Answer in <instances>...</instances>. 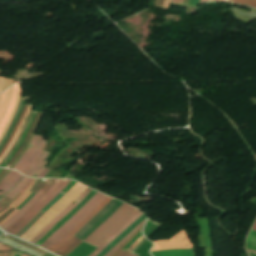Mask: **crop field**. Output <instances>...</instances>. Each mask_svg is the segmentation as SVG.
Masks as SVG:
<instances>
[{
    "label": "crop field",
    "instance_id": "a9b5d70f",
    "mask_svg": "<svg viewBox=\"0 0 256 256\" xmlns=\"http://www.w3.org/2000/svg\"><path fill=\"white\" fill-rule=\"evenodd\" d=\"M40 113H41V112H38V113H37V115H36V117H35V120H34L32 126H31L30 130L28 131L27 135L25 136V138H24V140H23V142H22V144H21L19 150L14 154L13 158H12L11 161L8 163V165H11V163L13 162V160L15 159V157L21 152V150H22V148H23V146H24L26 140L28 139V137H29V135H30V133H31V131H32V129H33V127H34V125H35V123H36V121H37L39 115H40Z\"/></svg>",
    "mask_w": 256,
    "mask_h": 256
},
{
    "label": "crop field",
    "instance_id": "34b2d1b8",
    "mask_svg": "<svg viewBox=\"0 0 256 256\" xmlns=\"http://www.w3.org/2000/svg\"><path fill=\"white\" fill-rule=\"evenodd\" d=\"M119 201L112 199L97 215H95L74 237L81 239L94 225H96L105 215H107ZM122 204L120 202L107 216H105L95 227H93L82 239L83 241L96 227H98L105 219H107L117 208ZM71 238L66 244H64L55 254L59 256H66L75 247H77L81 241Z\"/></svg>",
    "mask_w": 256,
    "mask_h": 256
},
{
    "label": "crop field",
    "instance_id": "447ae74e",
    "mask_svg": "<svg viewBox=\"0 0 256 256\" xmlns=\"http://www.w3.org/2000/svg\"><path fill=\"white\" fill-rule=\"evenodd\" d=\"M127 256H134V255H132V254L129 253Z\"/></svg>",
    "mask_w": 256,
    "mask_h": 256
},
{
    "label": "crop field",
    "instance_id": "db79e9e6",
    "mask_svg": "<svg viewBox=\"0 0 256 256\" xmlns=\"http://www.w3.org/2000/svg\"><path fill=\"white\" fill-rule=\"evenodd\" d=\"M16 253H17V251L12 256H14Z\"/></svg>",
    "mask_w": 256,
    "mask_h": 256
},
{
    "label": "crop field",
    "instance_id": "412701ff",
    "mask_svg": "<svg viewBox=\"0 0 256 256\" xmlns=\"http://www.w3.org/2000/svg\"><path fill=\"white\" fill-rule=\"evenodd\" d=\"M70 182V180L57 179L54 185L37 201L35 202L16 222L10 225L5 231L15 235L22 229L43 207H45L63 188ZM19 224L15 229L11 230Z\"/></svg>",
    "mask_w": 256,
    "mask_h": 256
},
{
    "label": "crop field",
    "instance_id": "028f5c9d",
    "mask_svg": "<svg viewBox=\"0 0 256 256\" xmlns=\"http://www.w3.org/2000/svg\"><path fill=\"white\" fill-rule=\"evenodd\" d=\"M140 235H142L141 232H139V233L123 248V250L126 251V250L132 245V243H133Z\"/></svg>",
    "mask_w": 256,
    "mask_h": 256
},
{
    "label": "crop field",
    "instance_id": "5866460e",
    "mask_svg": "<svg viewBox=\"0 0 256 256\" xmlns=\"http://www.w3.org/2000/svg\"><path fill=\"white\" fill-rule=\"evenodd\" d=\"M63 196V194L59 193L45 208L42 209V211H46L47 209H49L56 201H58L61 197Z\"/></svg>",
    "mask_w": 256,
    "mask_h": 256
},
{
    "label": "crop field",
    "instance_id": "5d738f31",
    "mask_svg": "<svg viewBox=\"0 0 256 256\" xmlns=\"http://www.w3.org/2000/svg\"><path fill=\"white\" fill-rule=\"evenodd\" d=\"M34 194L32 193L17 209H19L23 204H25Z\"/></svg>",
    "mask_w": 256,
    "mask_h": 256
},
{
    "label": "crop field",
    "instance_id": "0f1d7ab4",
    "mask_svg": "<svg viewBox=\"0 0 256 256\" xmlns=\"http://www.w3.org/2000/svg\"><path fill=\"white\" fill-rule=\"evenodd\" d=\"M1 73V72H0Z\"/></svg>",
    "mask_w": 256,
    "mask_h": 256
},
{
    "label": "crop field",
    "instance_id": "d3111659",
    "mask_svg": "<svg viewBox=\"0 0 256 256\" xmlns=\"http://www.w3.org/2000/svg\"><path fill=\"white\" fill-rule=\"evenodd\" d=\"M35 114H36V112L33 113L32 117H31V119H30V121H29V123H28V125H27V127H26V129H25V131H24V134H23V136H22L20 142H19L18 145L15 147V149L13 150V152L11 153V155L8 157V159L5 161V163L2 165V167H5V166L7 165V163L10 161V159H11L12 156H13V154L15 153V151L17 150V148H18L19 145L21 144V142H22V140H23V138H24V136H25V134H26V132H27V130H28V128H29V126H30V124H31V122H32V120H33V118H34V116H35Z\"/></svg>",
    "mask_w": 256,
    "mask_h": 256
},
{
    "label": "crop field",
    "instance_id": "cbeb9de0",
    "mask_svg": "<svg viewBox=\"0 0 256 256\" xmlns=\"http://www.w3.org/2000/svg\"><path fill=\"white\" fill-rule=\"evenodd\" d=\"M22 175L16 171L11 170V172L5 177V179L0 183V195L8 193L14 185L21 179Z\"/></svg>",
    "mask_w": 256,
    "mask_h": 256
},
{
    "label": "crop field",
    "instance_id": "8a807250",
    "mask_svg": "<svg viewBox=\"0 0 256 256\" xmlns=\"http://www.w3.org/2000/svg\"><path fill=\"white\" fill-rule=\"evenodd\" d=\"M137 211L138 210L123 203L119 209L110 218L103 222L97 229H95L89 235V237L83 241V243L97 248ZM83 243L74 249L68 256H88L95 250V248Z\"/></svg>",
    "mask_w": 256,
    "mask_h": 256
},
{
    "label": "crop field",
    "instance_id": "78b8030e",
    "mask_svg": "<svg viewBox=\"0 0 256 256\" xmlns=\"http://www.w3.org/2000/svg\"><path fill=\"white\" fill-rule=\"evenodd\" d=\"M2 246V244H0V247Z\"/></svg>",
    "mask_w": 256,
    "mask_h": 256
},
{
    "label": "crop field",
    "instance_id": "bc2a9ffb",
    "mask_svg": "<svg viewBox=\"0 0 256 256\" xmlns=\"http://www.w3.org/2000/svg\"><path fill=\"white\" fill-rule=\"evenodd\" d=\"M152 243L149 241H145L136 251L134 254L137 256H151L149 254V249L152 247Z\"/></svg>",
    "mask_w": 256,
    "mask_h": 256
},
{
    "label": "crop field",
    "instance_id": "ae1a2a85",
    "mask_svg": "<svg viewBox=\"0 0 256 256\" xmlns=\"http://www.w3.org/2000/svg\"><path fill=\"white\" fill-rule=\"evenodd\" d=\"M28 180H29V178L24 176V178L20 181V183L11 192L6 194V196L12 198L23 188V186L27 183Z\"/></svg>",
    "mask_w": 256,
    "mask_h": 256
},
{
    "label": "crop field",
    "instance_id": "733c2abd",
    "mask_svg": "<svg viewBox=\"0 0 256 256\" xmlns=\"http://www.w3.org/2000/svg\"><path fill=\"white\" fill-rule=\"evenodd\" d=\"M151 254L152 256H195V250H166Z\"/></svg>",
    "mask_w": 256,
    "mask_h": 256
},
{
    "label": "crop field",
    "instance_id": "73cf0c24",
    "mask_svg": "<svg viewBox=\"0 0 256 256\" xmlns=\"http://www.w3.org/2000/svg\"><path fill=\"white\" fill-rule=\"evenodd\" d=\"M128 254V252H123L120 256H126Z\"/></svg>",
    "mask_w": 256,
    "mask_h": 256
},
{
    "label": "crop field",
    "instance_id": "f4fd0767",
    "mask_svg": "<svg viewBox=\"0 0 256 256\" xmlns=\"http://www.w3.org/2000/svg\"><path fill=\"white\" fill-rule=\"evenodd\" d=\"M45 143L43 142L42 136H33V139L28 146L25 154L22 158L18 161V163L13 167L14 170H18L22 174H26L27 171L30 169L36 158L38 157L39 153L45 147Z\"/></svg>",
    "mask_w": 256,
    "mask_h": 256
},
{
    "label": "crop field",
    "instance_id": "0765c3eb",
    "mask_svg": "<svg viewBox=\"0 0 256 256\" xmlns=\"http://www.w3.org/2000/svg\"><path fill=\"white\" fill-rule=\"evenodd\" d=\"M22 256H29V255H27V254H23Z\"/></svg>",
    "mask_w": 256,
    "mask_h": 256
},
{
    "label": "crop field",
    "instance_id": "4a817a6b",
    "mask_svg": "<svg viewBox=\"0 0 256 256\" xmlns=\"http://www.w3.org/2000/svg\"><path fill=\"white\" fill-rule=\"evenodd\" d=\"M47 155H48L47 152L42 151V153L39 155V157L37 158V160L34 163V165L32 166V168L28 171V173L26 175L32 177L33 174L37 171L38 167L44 161V159L46 158Z\"/></svg>",
    "mask_w": 256,
    "mask_h": 256
},
{
    "label": "crop field",
    "instance_id": "eef30255",
    "mask_svg": "<svg viewBox=\"0 0 256 256\" xmlns=\"http://www.w3.org/2000/svg\"><path fill=\"white\" fill-rule=\"evenodd\" d=\"M27 106H28V104H27V105H24L23 110H22V113H21V115L19 116V118H18V120H17V123H16V125H15V127H14L12 133L10 134V136H9V138H8V140H7V142H6V144L4 145L3 149H2L1 152H0V156H1V154L3 153V151L5 150V148L7 147V145H8V143L10 142L12 136L15 134L16 129H17V127H18V125H19V123H20V121H21V119H22L24 113H25V110H26Z\"/></svg>",
    "mask_w": 256,
    "mask_h": 256
},
{
    "label": "crop field",
    "instance_id": "1d79db26",
    "mask_svg": "<svg viewBox=\"0 0 256 256\" xmlns=\"http://www.w3.org/2000/svg\"><path fill=\"white\" fill-rule=\"evenodd\" d=\"M20 255H21V253L18 252L15 256H20Z\"/></svg>",
    "mask_w": 256,
    "mask_h": 256
},
{
    "label": "crop field",
    "instance_id": "5a996713",
    "mask_svg": "<svg viewBox=\"0 0 256 256\" xmlns=\"http://www.w3.org/2000/svg\"><path fill=\"white\" fill-rule=\"evenodd\" d=\"M56 179H49V181L6 223L0 226L3 230L17 220L36 200H38L48 189Z\"/></svg>",
    "mask_w": 256,
    "mask_h": 256
},
{
    "label": "crop field",
    "instance_id": "dafd665d",
    "mask_svg": "<svg viewBox=\"0 0 256 256\" xmlns=\"http://www.w3.org/2000/svg\"><path fill=\"white\" fill-rule=\"evenodd\" d=\"M207 1H229V2H232V0H200V3L207 2ZM233 2L256 8V0H233Z\"/></svg>",
    "mask_w": 256,
    "mask_h": 256
},
{
    "label": "crop field",
    "instance_id": "e52e79f7",
    "mask_svg": "<svg viewBox=\"0 0 256 256\" xmlns=\"http://www.w3.org/2000/svg\"><path fill=\"white\" fill-rule=\"evenodd\" d=\"M102 194L96 193L81 209H79L62 227L47 238L40 247L44 248L61 234L71 223H73L80 215H82Z\"/></svg>",
    "mask_w": 256,
    "mask_h": 256
},
{
    "label": "crop field",
    "instance_id": "1d83c4d3",
    "mask_svg": "<svg viewBox=\"0 0 256 256\" xmlns=\"http://www.w3.org/2000/svg\"><path fill=\"white\" fill-rule=\"evenodd\" d=\"M144 226V225H143ZM142 227H140L132 236H130L118 249V251L113 256H119L123 250H121L140 230H142Z\"/></svg>",
    "mask_w": 256,
    "mask_h": 256
},
{
    "label": "crop field",
    "instance_id": "4177f3b9",
    "mask_svg": "<svg viewBox=\"0 0 256 256\" xmlns=\"http://www.w3.org/2000/svg\"><path fill=\"white\" fill-rule=\"evenodd\" d=\"M11 88L2 92L1 97H0V117L6 107L7 104V100L10 94Z\"/></svg>",
    "mask_w": 256,
    "mask_h": 256
},
{
    "label": "crop field",
    "instance_id": "750c4746",
    "mask_svg": "<svg viewBox=\"0 0 256 256\" xmlns=\"http://www.w3.org/2000/svg\"><path fill=\"white\" fill-rule=\"evenodd\" d=\"M161 226V224L158 223H154L152 226H150L146 231L143 232V235L146 236L147 238L153 234L159 227Z\"/></svg>",
    "mask_w": 256,
    "mask_h": 256
},
{
    "label": "crop field",
    "instance_id": "425ffa30",
    "mask_svg": "<svg viewBox=\"0 0 256 256\" xmlns=\"http://www.w3.org/2000/svg\"><path fill=\"white\" fill-rule=\"evenodd\" d=\"M32 180H33V179H31V180L24 186V188L20 191V193H22V192L26 189V187L31 183Z\"/></svg>",
    "mask_w": 256,
    "mask_h": 256
},
{
    "label": "crop field",
    "instance_id": "d8731c3e",
    "mask_svg": "<svg viewBox=\"0 0 256 256\" xmlns=\"http://www.w3.org/2000/svg\"><path fill=\"white\" fill-rule=\"evenodd\" d=\"M20 92L21 91L19 90L18 85L13 86L6 110L0 120V136L2 135L8 121L13 113V110L16 105V102H17Z\"/></svg>",
    "mask_w": 256,
    "mask_h": 256
},
{
    "label": "crop field",
    "instance_id": "214f88e0",
    "mask_svg": "<svg viewBox=\"0 0 256 256\" xmlns=\"http://www.w3.org/2000/svg\"><path fill=\"white\" fill-rule=\"evenodd\" d=\"M31 106H32V105H29V106H28V109H27V111H26V114H25V116H24V118H23L21 124L19 125L16 134L13 136V138H12V140H11V142H10L8 148L5 150V152H4V153L2 154V156L0 157V162H1V160L4 158V156L7 154V152L10 150V148L12 147V145H13V143H14L16 137L18 136V134H19V132H20V130H21V127H22V125H23V123H24V121H25V119H26V117H27V115H28V113H29V110H30Z\"/></svg>",
    "mask_w": 256,
    "mask_h": 256
},
{
    "label": "crop field",
    "instance_id": "5142ce71",
    "mask_svg": "<svg viewBox=\"0 0 256 256\" xmlns=\"http://www.w3.org/2000/svg\"><path fill=\"white\" fill-rule=\"evenodd\" d=\"M140 211L123 224L113 235H111L100 247H98L90 256H96L107 244L113 241L124 229L132 224V222L142 215Z\"/></svg>",
    "mask_w": 256,
    "mask_h": 256
},
{
    "label": "crop field",
    "instance_id": "0fb4a251",
    "mask_svg": "<svg viewBox=\"0 0 256 256\" xmlns=\"http://www.w3.org/2000/svg\"><path fill=\"white\" fill-rule=\"evenodd\" d=\"M14 252H15V250L13 252H11L8 256H11Z\"/></svg>",
    "mask_w": 256,
    "mask_h": 256
},
{
    "label": "crop field",
    "instance_id": "22f410ed",
    "mask_svg": "<svg viewBox=\"0 0 256 256\" xmlns=\"http://www.w3.org/2000/svg\"><path fill=\"white\" fill-rule=\"evenodd\" d=\"M96 191L92 190L89 195L82 200L74 209H72L66 216H64L36 245H40L48 236H50L55 230L62 226L79 208H81L94 194Z\"/></svg>",
    "mask_w": 256,
    "mask_h": 256
},
{
    "label": "crop field",
    "instance_id": "28ad6ade",
    "mask_svg": "<svg viewBox=\"0 0 256 256\" xmlns=\"http://www.w3.org/2000/svg\"><path fill=\"white\" fill-rule=\"evenodd\" d=\"M111 198L105 199L91 214H89L70 234H68L65 238H63L59 243H57L52 249L49 251L55 252L57 251L65 242H67L87 221H89L101 208H103Z\"/></svg>",
    "mask_w": 256,
    "mask_h": 256
},
{
    "label": "crop field",
    "instance_id": "9d1cf04e",
    "mask_svg": "<svg viewBox=\"0 0 256 256\" xmlns=\"http://www.w3.org/2000/svg\"><path fill=\"white\" fill-rule=\"evenodd\" d=\"M247 251H249V252H252V253H256V252H254V251H251V250H247Z\"/></svg>",
    "mask_w": 256,
    "mask_h": 256
},
{
    "label": "crop field",
    "instance_id": "25e5ab78",
    "mask_svg": "<svg viewBox=\"0 0 256 256\" xmlns=\"http://www.w3.org/2000/svg\"><path fill=\"white\" fill-rule=\"evenodd\" d=\"M45 163H46V162H43V164L41 165V167L39 168V170L35 173V175H34L33 177L36 178L37 174L39 173V171L41 170V168L44 166Z\"/></svg>",
    "mask_w": 256,
    "mask_h": 256
},
{
    "label": "crop field",
    "instance_id": "ac0d7876",
    "mask_svg": "<svg viewBox=\"0 0 256 256\" xmlns=\"http://www.w3.org/2000/svg\"><path fill=\"white\" fill-rule=\"evenodd\" d=\"M86 189L87 187L77 182L69 192H67L55 205L46 211V213L20 238L27 241L32 239Z\"/></svg>",
    "mask_w": 256,
    "mask_h": 256
},
{
    "label": "crop field",
    "instance_id": "3316defc",
    "mask_svg": "<svg viewBox=\"0 0 256 256\" xmlns=\"http://www.w3.org/2000/svg\"><path fill=\"white\" fill-rule=\"evenodd\" d=\"M91 189H87L82 193L74 202H72L61 214H59L51 223H49L36 237L30 242L36 243L47 231H49L64 215H66L72 208H74L89 192Z\"/></svg>",
    "mask_w": 256,
    "mask_h": 256
},
{
    "label": "crop field",
    "instance_id": "bd1437ed",
    "mask_svg": "<svg viewBox=\"0 0 256 256\" xmlns=\"http://www.w3.org/2000/svg\"><path fill=\"white\" fill-rule=\"evenodd\" d=\"M24 102H25V100L23 99L22 102H21V105H20V107H19V110H18V112H17V115H16V117H15V119H14V122H13V124H12V126H11V128H10V130H9V132H8V134L6 135V137H5L4 141H3V143H2V145H1V147H0V150H1L2 146L4 145V143L6 142V140H7L8 136H9V134L11 133V131H12V129H13L15 123H16V120H17V118H18V116H19V113H20V111H21V109H22V107H23Z\"/></svg>",
    "mask_w": 256,
    "mask_h": 256
},
{
    "label": "crop field",
    "instance_id": "0bd39190",
    "mask_svg": "<svg viewBox=\"0 0 256 256\" xmlns=\"http://www.w3.org/2000/svg\"><path fill=\"white\" fill-rule=\"evenodd\" d=\"M47 171H48L47 169L42 168V170L38 174L37 178H43L44 175L47 173Z\"/></svg>",
    "mask_w": 256,
    "mask_h": 256
},
{
    "label": "crop field",
    "instance_id": "1f2cbd36",
    "mask_svg": "<svg viewBox=\"0 0 256 256\" xmlns=\"http://www.w3.org/2000/svg\"><path fill=\"white\" fill-rule=\"evenodd\" d=\"M249 253V252H248ZM249 256H256V254L249 253Z\"/></svg>",
    "mask_w": 256,
    "mask_h": 256
},
{
    "label": "crop field",
    "instance_id": "120bbe31",
    "mask_svg": "<svg viewBox=\"0 0 256 256\" xmlns=\"http://www.w3.org/2000/svg\"><path fill=\"white\" fill-rule=\"evenodd\" d=\"M171 0H156L155 6L163 7V8H169Z\"/></svg>",
    "mask_w": 256,
    "mask_h": 256
},
{
    "label": "crop field",
    "instance_id": "03da06ac",
    "mask_svg": "<svg viewBox=\"0 0 256 256\" xmlns=\"http://www.w3.org/2000/svg\"><path fill=\"white\" fill-rule=\"evenodd\" d=\"M153 223H154V222H152V221L148 218L147 223H146V225H145L143 231H144L145 229H147V228H148L151 224H153Z\"/></svg>",
    "mask_w": 256,
    "mask_h": 256
},
{
    "label": "crop field",
    "instance_id": "c21b1889",
    "mask_svg": "<svg viewBox=\"0 0 256 256\" xmlns=\"http://www.w3.org/2000/svg\"><path fill=\"white\" fill-rule=\"evenodd\" d=\"M16 211H17V210H14L6 219H4V220L0 223V225L3 224L5 221H7L10 217H12V216L16 213Z\"/></svg>",
    "mask_w": 256,
    "mask_h": 256
},
{
    "label": "crop field",
    "instance_id": "c035e120",
    "mask_svg": "<svg viewBox=\"0 0 256 256\" xmlns=\"http://www.w3.org/2000/svg\"><path fill=\"white\" fill-rule=\"evenodd\" d=\"M199 4V0H189V5L197 6Z\"/></svg>",
    "mask_w": 256,
    "mask_h": 256
},
{
    "label": "crop field",
    "instance_id": "e1f06a70",
    "mask_svg": "<svg viewBox=\"0 0 256 256\" xmlns=\"http://www.w3.org/2000/svg\"><path fill=\"white\" fill-rule=\"evenodd\" d=\"M75 183L76 181L71 180L69 185L61 193L65 194Z\"/></svg>",
    "mask_w": 256,
    "mask_h": 256
},
{
    "label": "crop field",
    "instance_id": "b80d0937",
    "mask_svg": "<svg viewBox=\"0 0 256 256\" xmlns=\"http://www.w3.org/2000/svg\"><path fill=\"white\" fill-rule=\"evenodd\" d=\"M12 83H13V81L12 80H6V83H5V86H4V88H3V91L5 90V89H7L9 86H11L12 85Z\"/></svg>",
    "mask_w": 256,
    "mask_h": 256
},
{
    "label": "crop field",
    "instance_id": "00972430",
    "mask_svg": "<svg viewBox=\"0 0 256 256\" xmlns=\"http://www.w3.org/2000/svg\"><path fill=\"white\" fill-rule=\"evenodd\" d=\"M247 240L256 243V231L251 230L247 237ZM248 241L246 242L245 248L256 251V244Z\"/></svg>",
    "mask_w": 256,
    "mask_h": 256
},
{
    "label": "crop field",
    "instance_id": "b54c1fbb",
    "mask_svg": "<svg viewBox=\"0 0 256 256\" xmlns=\"http://www.w3.org/2000/svg\"><path fill=\"white\" fill-rule=\"evenodd\" d=\"M5 80H6V79H4V78H0V92H1V90H2V87H3V85H4Z\"/></svg>",
    "mask_w": 256,
    "mask_h": 256
},
{
    "label": "crop field",
    "instance_id": "dbb93151",
    "mask_svg": "<svg viewBox=\"0 0 256 256\" xmlns=\"http://www.w3.org/2000/svg\"><path fill=\"white\" fill-rule=\"evenodd\" d=\"M253 230H256V223H255V225H254V227H253Z\"/></svg>",
    "mask_w": 256,
    "mask_h": 256
},
{
    "label": "crop field",
    "instance_id": "730fd06b",
    "mask_svg": "<svg viewBox=\"0 0 256 256\" xmlns=\"http://www.w3.org/2000/svg\"><path fill=\"white\" fill-rule=\"evenodd\" d=\"M146 220V219H145ZM145 220L142 221L135 229H133L129 234H127L114 248H112L105 256H111L117 251V248L134 232L136 231L140 226H142L145 223Z\"/></svg>",
    "mask_w": 256,
    "mask_h": 256
},
{
    "label": "crop field",
    "instance_id": "7b73153f",
    "mask_svg": "<svg viewBox=\"0 0 256 256\" xmlns=\"http://www.w3.org/2000/svg\"><path fill=\"white\" fill-rule=\"evenodd\" d=\"M2 168H0V172H1Z\"/></svg>",
    "mask_w": 256,
    "mask_h": 256
},
{
    "label": "crop field",
    "instance_id": "d32e631a",
    "mask_svg": "<svg viewBox=\"0 0 256 256\" xmlns=\"http://www.w3.org/2000/svg\"><path fill=\"white\" fill-rule=\"evenodd\" d=\"M13 249L6 245H3L0 249V256H7Z\"/></svg>",
    "mask_w": 256,
    "mask_h": 256
},
{
    "label": "crop field",
    "instance_id": "d9b57169",
    "mask_svg": "<svg viewBox=\"0 0 256 256\" xmlns=\"http://www.w3.org/2000/svg\"><path fill=\"white\" fill-rule=\"evenodd\" d=\"M146 216L143 214L140 218H138L130 227L124 230L113 242H111L101 253L97 256H103L106 254L112 247H114L130 230H132L139 222L145 219Z\"/></svg>",
    "mask_w": 256,
    "mask_h": 256
},
{
    "label": "crop field",
    "instance_id": "92a150f3",
    "mask_svg": "<svg viewBox=\"0 0 256 256\" xmlns=\"http://www.w3.org/2000/svg\"><path fill=\"white\" fill-rule=\"evenodd\" d=\"M36 181V179L32 182V184L26 189V191L16 200L14 201L12 204H10V207L16 208L18 205H20L26 198L27 196L30 194L29 189L31 188V186L33 185V183ZM9 207V208H10ZM8 208V209H9ZM8 209H6L5 211L1 212L0 215H2L4 212H6Z\"/></svg>",
    "mask_w": 256,
    "mask_h": 256
},
{
    "label": "crop field",
    "instance_id": "89e229c0",
    "mask_svg": "<svg viewBox=\"0 0 256 256\" xmlns=\"http://www.w3.org/2000/svg\"><path fill=\"white\" fill-rule=\"evenodd\" d=\"M6 170L5 169H3V171L0 173V177L2 176V174L5 172Z\"/></svg>",
    "mask_w": 256,
    "mask_h": 256
},
{
    "label": "crop field",
    "instance_id": "d23c7cc5",
    "mask_svg": "<svg viewBox=\"0 0 256 256\" xmlns=\"http://www.w3.org/2000/svg\"><path fill=\"white\" fill-rule=\"evenodd\" d=\"M183 0H172L171 3L182 4Z\"/></svg>",
    "mask_w": 256,
    "mask_h": 256
},
{
    "label": "crop field",
    "instance_id": "dd49c442",
    "mask_svg": "<svg viewBox=\"0 0 256 256\" xmlns=\"http://www.w3.org/2000/svg\"><path fill=\"white\" fill-rule=\"evenodd\" d=\"M153 243L155 246L151 251L193 248L189 241L187 240L186 234L183 230L170 240L154 241Z\"/></svg>",
    "mask_w": 256,
    "mask_h": 256
},
{
    "label": "crop field",
    "instance_id": "d1516ede",
    "mask_svg": "<svg viewBox=\"0 0 256 256\" xmlns=\"http://www.w3.org/2000/svg\"><path fill=\"white\" fill-rule=\"evenodd\" d=\"M107 196L102 195L82 216H80L72 225H70L60 236H58L53 242H51L46 249H50L54 244L65 237L71 232L99 203H101Z\"/></svg>",
    "mask_w": 256,
    "mask_h": 256
}]
</instances>
